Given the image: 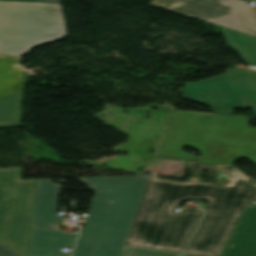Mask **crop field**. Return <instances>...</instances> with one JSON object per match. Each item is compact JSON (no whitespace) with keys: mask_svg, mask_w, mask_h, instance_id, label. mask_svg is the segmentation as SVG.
Listing matches in <instances>:
<instances>
[{"mask_svg":"<svg viewBox=\"0 0 256 256\" xmlns=\"http://www.w3.org/2000/svg\"><path fill=\"white\" fill-rule=\"evenodd\" d=\"M196 182L157 179L150 175L124 244L181 253L204 211L173 213L184 199L209 200L201 224L185 252L220 256L234 226L256 189V183L233 166L189 162ZM203 165L232 179L228 185L200 182Z\"/></svg>","mask_w":256,"mask_h":256,"instance_id":"1","label":"crop field"},{"mask_svg":"<svg viewBox=\"0 0 256 256\" xmlns=\"http://www.w3.org/2000/svg\"><path fill=\"white\" fill-rule=\"evenodd\" d=\"M246 116L175 110L157 157L233 164L238 157L256 164V129ZM193 146L200 157L182 152Z\"/></svg>","mask_w":256,"mask_h":256,"instance_id":"2","label":"crop field"},{"mask_svg":"<svg viewBox=\"0 0 256 256\" xmlns=\"http://www.w3.org/2000/svg\"><path fill=\"white\" fill-rule=\"evenodd\" d=\"M148 176L77 178L96 194L72 256H119Z\"/></svg>","mask_w":256,"mask_h":256,"instance_id":"3","label":"crop field"},{"mask_svg":"<svg viewBox=\"0 0 256 256\" xmlns=\"http://www.w3.org/2000/svg\"><path fill=\"white\" fill-rule=\"evenodd\" d=\"M24 92L0 98V128L21 126ZM37 179L22 167L0 169V241L28 256Z\"/></svg>","mask_w":256,"mask_h":256,"instance_id":"4","label":"crop field"},{"mask_svg":"<svg viewBox=\"0 0 256 256\" xmlns=\"http://www.w3.org/2000/svg\"><path fill=\"white\" fill-rule=\"evenodd\" d=\"M67 35L61 4L0 2V53L23 55Z\"/></svg>","mask_w":256,"mask_h":256,"instance_id":"5","label":"crop field"},{"mask_svg":"<svg viewBox=\"0 0 256 256\" xmlns=\"http://www.w3.org/2000/svg\"><path fill=\"white\" fill-rule=\"evenodd\" d=\"M183 96L214 112L233 114L238 108H252L256 114V71L231 68L208 80L185 83Z\"/></svg>","mask_w":256,"mask_h":256,"instance_id":"6","label":"crop field"},{"mask_svg":"<svg viewBox=\"0 0 256 256\" xmlns=\"http://www.w3.org/2000/svg\"><path fill=\"white\" fill-rule=\"evenodd\" d=\"M153 5L188 14L256 36V8L251 0H151Z\"/></svg>","mask_w":256,"mask_h":256,"instance_id":"7","label":"crop field"},{"mask_svg":"<svg viewBox=\"0 0 256 256\" xmlns=\"http://www.w3.org/2000/svg\"><path fill=\"white\" fill-rule=\"evenodd\" d=\"M221 256H256V205H247Z\"/></svg>","mask_w":256,"mask_h":256,"instance_id":"8","label":"crop field"},{"mask_svg":"<svg viewBox=\"0 0 256 256\" xmlns=\"http://www.w3.org/2000/svg\"><path fill=\"white\" fill-rule=\"evenodd\" d=\"M61 184L52 179L38 180L33 227L54 230L60 200Z\"/></svg>","mask_w":256,"mask_h":256,"instance_id":"9","label":"crop field"},{"mask_svg":"<svg viewBox=\"0 0 256 256\" xmlns=\"http://www.w3.org/2000/svg\"><path fill=\"white\" fill-rule=\"evenodd\" d=\"M77 235L32 228L29 256H69L62 247L72 248Z\"/></svg>","mask_w":256,"mask_h":256,"instance_id":"10","label":"crop field"},{"mask_svg":"<svg viewBox=\"0 0 256 256\" xmlns=\"http://www.w3.org/2000/svg\"><path fill=\"white\" fill-rule=\"evenodd\" d=\"M18 62L17 56H0V97L24 91V72L12 65Z\"/></svg>","mask_w":256,"mask_h":256,"instance_id":"11","label":"crop field"},{"mask_svg":"<svg viewBox=\"0 0 256 256\" xmlns=\"http://www.w3.org/2000/svg\"><path fill=\"white\" fill-rule=\"evenodd\" d=\"M227 45L247 63L256 65V37L222 28Z\"/></svg>","mask_w":256,"mask_h":256,"instance_id":"12","label":"crop field"},{"mask_svg":"<svg viewBox=\"0 0 256 256\" xmlns=\"http://www.w3.org/2000/svg\"><path fill=\"white\" fill-rule=\"evenodd\" d=\"M120 256H180V254L162 250L124 245Z\"/></svg>","mask_w":256,"mask_h":256,"instance_id":"13","label":"crop field"},{"mask_svg":"<svg viewBox=\"0 0 256 256\" xmlns=\"http://www.w3.org/2000/svg\"><path fill=\"white\" fill-rule=\"evenodd\" d=\"M0 256H20L7 246L0 244Z\"/></svg>","mask_w":256,"mask_h":256,"instance_id":"14","label":"crop field"},{"mask_svg":"<svg viewBox=\"0 0 256 256\" xmlns=\"http://www.w3.org/2000/svg\"><path fill=\"white\" fill-rule=\"evenodd\" d=\"M0 1H22V2H51V3H60V0H0Z\"/></svg>","mask_w":256,"mask_h":256,"instance_id":"15","label":"crop field"},{"mask_svg":"<svg viewBox=\"0 0 256 256\" xmlns=\"http://www.w3.org/2000/svg\"><path fill=\"white\" fill-rule=\"evenodd\" d=\"M249 203L256 204V191L254 192L253 196L251 197Z\"/></svg>","mask_w":256,"mask_h":256,"instance_id":"16","label":"crop field"},{"mask_svg":"<svg viewBox=\"0 0 256 256\" xmlns=\"http://www.w3.org/2000/svg\"><path fill=\"white\" fill-rule=\"evenodd\" d=\"M183 256H201V255H194V254H187V253H184Z\"/></svg>","mask_w":256,"mask_h":256,"instance_id":"17","label":"crop field"}]
</instances>
